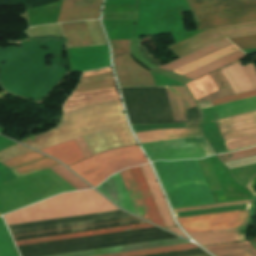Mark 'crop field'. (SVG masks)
Returning <instances> with one entry per match:
<instances>
[{"mask_svg":"<svg viewBox=\"0 0 256 256\" xmlns=\"http://www.w3.org/2000/svg\"><path fill=\"white\" fill-rule=\"evenodd\" d=\"M80 136L92 154L136 143L127 126L120 100L65 114L55 128L20 142L39 150Z\"/></svg>","mask_w":256,"mask_h":256,"instance_id":"obj_1","label":"crop field"},{"mask_svg":"<svg viewBox=\"0 0 256 256\" xmlns=\"http://www.w3.org/2000/svg\"><path fill=\"white\" fill-rule=\"evenodd\" d=\"M172 208L215 203L196 160L155 161Z\"/></svg>","mask_w":256,"mask_h":256,"instance_id":"obj_2","label":"crop field"},{"mask_svg":"<svg viewBox=\"0 0 256 256\" xmlns=\"http://www.w3.org/2000/svg\"><path fill=\"white\" fill-rule=\"evenodd\" d=\"M117 210L94 190L61 194L3 216L7 225Z\"/></svg>","mask_w":256,"mask_h":256,"instance_id":"obj_3","label":"crop field"},{"mask_svg":"<svg viewBox=\"0 0 256 256\" xmlns=\"http://www.w3.org/2000/svg\"><path fill=\"white\" fill-rule=\"evenodd\" d=\"M198 30L256 21V0H187Z\"/></svg>","mask_w":256,"mask_h":256,"instance_id":"obj_4","label":"crop field"},{"mask_svg":"<svg viewBox=\"0 0 256 256\" xmlns=\"http://www.w3.org/2000/svg\"><path fill=\"white\" fill-rule=\"evenodd\" d=\"M148 162L138 144L107 150L71 166L93 186L103 182L109 175L124 168Z\"/></svg>","mask_w":256,"mask_h":256,"instance_id":"obj_5","label":"crop field"},{"mask_svg":"<svg viewBox=\"0 0 256 256\" xmlns=\"http://www.w3.org/2000/svg\"><path fill=\"white\" fill-rule=\"evenodd\" d=\"M112 70L110 67L94 70L90 72L83 73V76L93 75L101 72H106ZM117 87L115 84L113 72L101 73L93 76L84 77L81 79L77 89L73 94L91 92L109 88ZM120 99L118 95L117 88L109 89L104 91L84 93L71 95L69 99L65 102L63 106L64 113L70 112L72 110L85 107L88 105L117 100ZM63 113V114H64Z\"/></svg>","mask_w":256,"mask_h":256,"instance_id":"obj_6","label":"crop field"},{"mask_svg":"<svg viewBox=\"0 0 256 256\" xmlns=\"http://www.w3.org/2000/svg\"><path fill=\"white\" fill-rule=\"evenodd\" d=\"M142 146L151 161L157 159L203 158L207 155L214 154L203 135L144 143Z\"/></svg>","mask_w":256,"mask_h":256,"instance_id":"obj_7","label":"crop field"},{"mask_svg":"<svg viewBox=\"0 0 256 256\" xmlns=\"http://www.w3.org/2000/svg\"><path fill=\"white\" fill-rule=\"evenodd\" d=\"M251 34H256V22L208 29L168 48L178 57H182L225 36L232 38Z\"/></svg>","mask_w":256,"mask_h":256,"instance_id":"obj_8","label":"crop field"},{"mask_svg":"<svg viewBox=\"0 0 256 256\" xmlns=\"http://www.w3.org/2000/svg\"><path fill=\"white\" fill-rule=\"evenodd\" d=\"M187 233L246 226L249 209L176 218Z\"/></svg>","mask_w":256,"mask_h":256,"instance_id":"obj_9","label":"crop field"},{"mask_svg":"<svg viewBox=\"0 0 256 256\" xmlns=\"http://www.w3.org/2000/svg\"><path fill=\"white\" fill-rule=\"evenodd\" d=\"M130 40H110L113 60L129 55ZM121 85L154 84L150 73L129 56L114 61Z\"/></svg>","mask_w":256,"mask_h":256,"instance_id":"obj_10","label":"crop field"},{"mask_svg":"<svg viewBox=\"0 0 256 256\" xmlns=\"http://www.w3.org/2000/svg\"><path fill=\"white\" fill-rule=\"evenodd\" d=\"M223 140L256 132V111L214 120Z\"/></svg>","mask_w":256,"mask_h":256,"instance_id":"obj_11","label":"crop field"},{"mask_svg":"<svg viewBox=\"0 0 256 256\" xmlns=\"http://www.w3.org/2000/svg\"><path fill=\"white\" fill-rule=\"evenodd\" d=\"M234 93L256 88V68L253 63L242 67L236 61L220 69Z\"/></svg>","mask_w":256,"mask_h":256,"instance_id":"obj_12","label":"crop field"},{"mask_svg":"<svg viewBox=\"0 0 256 256\" xmlns=\"http://www.w3.org/2000/svg\"><path fill=\"white\" fill-rule=\"evenodd\" d=\"M100 0H63L57 22L96 18Z\"/></svg>","mask_w":256,"mask_h":256,"instance_id":"obj_13","label":"crop field"},{"mask_svg":"<svg viewBox=\"0 0 256 256\" xmlns=\"http://www.w3.org/2000/svg\"><path fill=\"white\" fill-rule=\"evenodd\" d=\"M97 189L122 208L136 214L118 173L111 176Z\"/></svg>","mask_w":256,"mask_h":256,"instance_id":"obj_14","label":"crop field"},{"mask_svg":"<svg viewBox=\"0 0 256 256\" xmlns=\"http://www.w3.org/2000/svg\"><path fill=\"white\" fill-rule=\"evenodd\" d=\"M180 243H188V241H185L181 238H176V239L147 242V243L126 245V246H119V247H112V248H105V249H97V250H90V251H83V252H76V253H69V254H62V255H55V256H97V255H103V254H109V253L131 251V250L180 244Z\"/></svg>","mask_w":256,"mask_h":256,"instance_id":"obj_15","label":"crop field"},{"mask_svg":"<svg viewBox=\"0 0 256 256\" xmlns=\"http://www.w3.org/2000/svg\"><path fill=\"white\" fill-rule=\"evenodd\" d=\"M245 229H246V227L237 228V229L192 233L189 235L197 243H199L201 245H206V244H215V243H224V242L245 240V238H244Z\"/></svg>","mask_w":256,"mask_h":256,"instance_id":"obj_16","label":"crop field"},{"mask_svg":"<svg viewBox=\"0 0 256 256\" xmlns=\"http://www.w3.org/2000/svg\"><path fill=\"white\" fill-rule=\"evenodd\" d=\"M131 174H132V177L138 187V190L140 192V195L143 199V202L145 204V207L147 209V212L150 216V219L153 223L155 224H158L162 227H165L163 222H162V219L160 217V214L157 210V207L155 205V202L152 198V195L149 191V188L147 186V183L144 179V176L142 174V171L140 169V167H134V168H131L129 169Z\"/></svg>","mask_w":256,"mask_h":256,"instance_id":"obj_17","label":"crop field"},{"mask_svg":"<svg viewBox=\"0 0 256 256\" xmlns=\"http://www.w3.org/2000/svg\"><path fill=\"white\" fill-rule=\"evenodd\" d=\"M140 167L143 171V174H144L145 179L148 183V186H149L150 191L153 195V198L156 202V205L158 207V210L161 214V217L163 219V222H164L165 226L166 227L174 226L175 223L173 222V220L171 218L168 207L166 205V202L164 200V197L162 195V192L160 190V187L158 185V182L155 178V175H154L150 165L145 164V165H141Z\"/></svg>","mask_w":256,"mask_h":256,"instance_id":"obj_18","label":"crop field"},{"mask_svg":"<svg viewBox=\"0 0 256 256\" xmlns=\"http://www.w3.org/2000/svg\"><path fill=\"white\" fill-rule=\"evenodd\" d=\"M67 37V47L76 48L93 45L85 21L62 24Z\"/></svg>","mask_w":256,"mask_h":256,"instance_id":"obj_19","label":"crop field"},{"mask_svg":"<svg viewBox=\"0 0 256 256\" xmlns=\"http://www.w3.org/2000/svg\"><path fill=\"white\" fill-rule=\"evenodd\" d=\"M174 120H187L184 105L195 103L185 86L166 87Z\"/></svg>","mask_w":256,"mask_h":256,"instance_id":"obj_20","label":"crop field"},{"mask_svg":"<svg viewBox=\"0 0 256 256\" xmlns=\"http://www.w3.org/2000/svg\"><path fill=\"white\" fill-rule=\"evenodd\" d=\"M139 142H150L157 140L175 139L191 135H199L201 128H185V129H170V130H158L149 132L135 133Z\"/></svg>","mask_w":256,"mask_h":256,"instance_id":"obj_21","label":"crop field"},{"mask_svg":"<svg viewBox=\"0 0 256 256\" xmlns=\"http://www.w3.org/2000/svg\"><path fill=\"white\" fill-rule=\"evenodd\" d=\"M40 151L56 157L67 166L78 160L84 159V156L82 155L74 140L53 147L41 149Z\"/></svg>","mask_w":256,"mask_h":256,"instance_id":"obj_22","label":"crop field"},{"mask_svg":"<svg viewBox=\"0 0 256 256\" xmlns=\"http://www.w3.org/2000/svg\"><path fill=\"white\" fill-rule=\"evenodd\" d=\"M145 227H152V225H150L148 223H144V224L123 226V227H116V228H109V229H102V230H95V231H88V232H81V233H74V234H67V235H60V236H53V237H46V238H39V239H32V240H25V241H18V242H15V243H16L17 246H20V245H27V244H34V243H41V242H48V241H55V240H62V239H69V238H76V237H83V236H89V235H96V234H103V233H110V232L145 228Z\"/></svg>","mask_w":256,"mask_h":256,"instance_id":"obj_23","label":"crop field"},{"mask_svg":"<svg viewBox=\"0 0 256 256\" xmlns=\"http://www.w3.org/2000/svg\"><path fill=\"white\" fill-rule=\"evenodd\" d=\"M216 256H256V250L248 241L206 246Z\"/></svg>","mask_w":256,"mask_h":256,"instance_id":"obj_24","label":"crop field"},{"mask_svg":"<svg viewBox=\"0 0 256 256\" xmlns=\"http://www.w3.org/2000/svg\"><path fill=\"white\" fill-rule=\"evenodd\" d=\"M229 44H231V42L229 40L223 39V40H221V41H219L217 43H214V44H212V45H210L208 47H205V48H203V49H201L199 51H196V52H194V53H192L190 55H187V56H185V57H183L181 59H178V60H176V61H174V62H172L170 64H167V65H165L163 67H160V68L168 69V70H171V71L175 70V69H177V68H179V67H181L183 65H186V64H188V63H190V62H192L194 60H197V59H199V58H201V57H203V56H205L207 54H210V53H212V52H214V51H216L218 49H221V48H223V47H225V46H227Z\"/></svg>","mask_w":256,"mask_h":256,"instance_id":"obj_25","label":"crop field"},{"mask_svg":"<svg viewBox=\"0 0 256 256\" xmlns=\"http://www.w3.org/2000/svg\"><path fill=\"white\" fill-rule=\"evenodd\" d=\"M119 174L123 180V183L127 189V192L130 196V199L134 205V208L138 216H141L150 221L129 170H123L119 172Z\"/></svg>","mask_w":256,"mask_h":256,"instance_id":"obj_26","label":"crop field"},{"mask_svg":"<svg viewBox=\"0 0 256 256\" xmlns=\"http://www.w3.org/2000/svg\"><path fill=\"white\" fill-rule=\"evenodd\" d=\"M236 50H238V48L235 47L233 44H231V45H229L221 50H218L210 55H207L197 61H194V62H192L186 66H183L175 71H173V70L172 71L176 72L178 74L184 75L192 70H195L203 65H206V64H208L216 59H219L227 54H230Z\"/></svg>","mask_w":256,"mask_h":256,"instance_id":"obj_27","label":"crop field"},{"mask_svg":"<svg viewBox=\"0 0 256 256\" xmlns=\"http://www.w3.org/2000/svg\"><path fill=\"white\" fill-rule=\"evenodd\" d=\"M246 54H244L242 51L238 50L230 55H227L219 60H216L206 66H203L195 71H192L184 76H187L189 78L195 79L203 74H206L212 70H215L223 65H226L232 61H235L243 56H245ZM244 58V57H243Z\"/></svg>","mask_w":256,"mask_h":256,"instance_id":"obj_28","label":"crop field"},{"mask_svg":"<svg viewBox=\"0 0 256 256\" xmlns=\"http://www.w3.org/2000/svg\"><path fill=\"white\" fill-rule=\"evenodd\" d=\"M187 86L191 90L195 100L217 91V88L208 75L187 84Z\"/></svg>","mask_w":256,"mask_h":256,"instance_id":"obj_29","label":"crop field"},{"mask_svg":"<svg viewBox=\"0 0 256 256\" xmlns=\"http://www.w3.org/2000/svg\"><path fill=\"white\" fill-rule=\"evenodd\" d=\"M59 165V163H57L56 161L46 157L43 159H40L38 161L20 166L18 168L12 169V171L14 172V174L19 177V176H23L26 174H30L36 171H40L52 166H56Z\"/></svg>","mask_w":256,"mask_h":256,"instance_id":"obj_30","label":"crop field"},{"mask_svg":"<svg viewBox=\"0 0 256 256\" xmlns=\"http://www.w3.org/2000/svg\"><path fill=\"white\" fill-rule=\"evenodd\" d=\"M191 248H197V246L192 243H188V244L125 252V253H118V254H111V255H105V256H140V255L171 252V251H178V250L191 249Z\"/></svg>","mask_w":256,"mask_h":256,"instance_id":"obj_31","label":"crop field"},{"mask_svg":"<svg viewBox=\"0 0 256 256\" xmlns=\"http://www.w3.org/2000/svg\"><path fill=\"white\" fill-rule=\"evenodd\" d=\"M0 256H17L10 234L0 217Z\"/></svg>","mask_w":256,"mask_h":256,"instance_id":"obj_32","label":"crop field"},{"mask_svg":"<svg viewBox=\"0 0 256 256\" xmlns=\"http://www.w3.org/2000/svg\"><path fill=\"white\" fill-rule=\"evenodd\" d=\"M50 170H52L54 173H56L58 176H60L62 179H64L77 190L91 188L82 180H80L77 176H75L73 173H71L69 170H67L65 167L61 165L50 168Z\"/></svg>","mask_w":256,"mask_h":256,"instance_id":"obj_33","label":"crop field"},{"mask_svg":"<svg viewBox=\"0 0 256 256\" xmlns=\"http://www.w3.org/2000/svg\"><path fill=\"white\" fill-rule=\"evenodd\" d=\"M43 157H46V156L39 154L35 151H32V152H29V153H26V154H23V155H20L17 157H13V158L1 161V163L6 165L7 167L11 168V167L18 166V165H21L24 163H28V162H31V161H34V160H37V159H40Z\"/></svg>","mask_w":256,"mask_h":256,"instance_id":"obj_34","label":"crop field"},{"mask_svg":"<svg viewBox=\"0 0 256 256\" xmlns=\"http://www.w3.org/2000/svg\"><path fill=\"white\" fill-rule=\"evenodd\" d=\"M250 204L174 213L176 217L249 208Z\"/></svg>","mask_w":256,"mask_h":256,"instance_id":"obj_35","label":"crop field"},{"mask_svg":"<svg viewBox=\"0 0 256 256\" xmlns=\"http://www.w3.org/2000/svg\"><path fill=\"white\" fill-rule=\"evenodd\" d=\"M228 150L256 143V133L224 141Z\"/></svg>","mask_w":256,"mask_h":256,"instance_id":"obj_36","label":"crop field"},{"mask_svg":"<svg viewBox=\"0 0 256 256\" xmlns=\"http://www.w3.org/2000/svg\"><path fill=\"white\" fill-rule=\"evenodd\" d=\"M253 155H256V147L241 150V151H236L228 154H221L218 156L223 162H226V161L235 160V159L244 158V157L253 156Z\"/></svg>","mask_w":256,"mask_h":256,"instance_id":"obj_37","label":"crop field"},{"mask_svg":"<svg viewBox=\"0 0 256 256\" xmlns=\"http://www.w3.org/2000/svg\"><path fill=\"white\" fill-rule=\"evenodd\" d=\"M32 151L18 143L0 151V160L6 159V158H10L22 153H26Z\"/></svg>","mask_w":256,"mask_h":256,"instance_id":"obj_38","label":"crop field"},{"mask_svg":"<svg viewBox=\"0 0 256 256\" xmlns=\"http://www.w3.org/2000/svg\"><path fill=\"white\" fill-rule=\"evenodd\" d=\"M134 132L165 129V128H184V124H155V125H131Z\"/></svg>","mask_w":256,"mask_h":256,"instance_id":"obj_39","label":"crop field"},{"mask_svg":"<svg viewBox=\"0 0 256 256\" xmlns=\"http://www.w3.org/2000/svg\"><path fill=\"white\" fill-rule=\"evenodd\" d=\"M241 49L256 47V35L230 39Z\"/></svg>","mask_w":256,"mask_h":256,"instance_id":"obj_40","label":"crop field"},{"mask_svg":"<svg viewBox=\"0 0 256 256\" xmlns=\"http://www.w3.org/2000/svg\"><path fill=\"white\" fill-rule=\"evenodd\" d=\"M252 96H256V90L238 94V95L225 97V98H221V99H217V100H213L210 102H211L212 106H215V105H219V104H223V103H227V102H231V101H235V100H240V99H244V98H248V97H252Z\"/></svg>","mask_w":256,"mask_h":256,"instance_id":"obj_41","label":"crop field"},{"mask_svg":"<svg viewBox=\"0 0 256 256\" xmlns=\"http://www.w3.org/2000/svg\"><path fill=\"white\" fill-rule=\"evenodd\" d=\"M253 200L249 201H241V202H233V203H225V204H217V205H209V206H201V207H193V208H185V209H177L173 210L174 212L178 211H186V210H195V209H204V208H212V207H221V206H230V205H238V204H247L252 203Z\"/></svg>","mask_w":256,"mask_h":256,"instance_id":"obj_42","label":"crop field"},{"mask_svg":"<svg viewBox=\"0 0 256 256\" xmlns=\"http://www.w3.org/2000/svg\"><path fill=\"white\" fill-rule=\"evenodd\" d=\"M75 142L77 143L78 147L82 151L83 155L86 157L92 155L88 147L86 146L85 142L83 141L82 137L74 139Z\"/></svg>","mask_w":256,"mask_h":256,"instance_id":"obj_43","label":"crop field"},{"mask_svg":"<svg viewBox=\"0 0 256 256\" xmlns=\"http://www.w3.org/2000/svg\"><path fill=\"white\" fill-rule=\"evenodd\" d=\"M166 229H168V230H170V231H172V232H174V233H176V234H178V235H181V236H184L181 232H180V230L177 228V227H172V228H166ZM185 237V236H184ZM187 238V237H186Z\"/></svg>","mask_w":256,"mask_h":256,"instance_id":"obj_44","label":"crop field"},{"mask_svg":"<svg viewBox=\"0 0 256 256\" xmlns=\"http://www.w3.org/2000/svg\"><path fill=\"white\" fill-rule=\"evenodd\" d=\"M130 216H132V215H130ZM132 217H134V216H132ZM134 218H136V217H134ZM136 219H138V218H136ZM133 220V219H132ZM138 220H140V219H138ZM126 221V220H125ZM140 221H142V220H140ZM142 222H144V221H142ZM111 223V222H110ZM104 224V223H103ZM97 225V224H96ZM75 228V227H74ZM68 229V228H67ZM61 230V229H60ZM11 233V235H12V237H13V234H12V232H10ZM32 234V233H31ZM13 239H14V237H13ZM15 240V239H14Z\"/></svg>","mask_w":256,"mask_h":256,"instance_id":"obj_45","label":"crop field"},{"mask_svg":"<svg viewBox=\"0 0 256 256\" xmlns=\"http://www.w3.org/2000/svg\"><path fill=\"white\" fill-rule=\"evenodd\" d=\"M251 241H252V242L254 243V245L256 246V238L252 239Z\"/></svg>","mask_w":256,"mask_h":256,"instance_id":"obj_46","label":"crop field"},{"mask_svg":"<svg viewBox=\"0 0 256 256\" xmlns=\"http://www.w3.org/2000/svg\"><path fill=\"white\" fill-rule=\"evenodd\" d=\"M198 256H210L209 254H205V255H198Z\"/></svg>","mask_w":256,"mask_h":256,"instance_id":"obj_47","label":"crop field"}]
</instances>
